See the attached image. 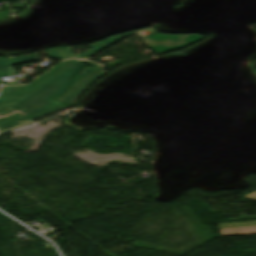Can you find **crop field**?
Segmentation results:
<instances>
[{
	"label": "crop field",
	"instance_id": "1",
	"mask_svg": "<svg viewBox=\"0 0 256 256\" xmlns=\"http://www.w3.org/2000/svg\"><path fill=\"white\" fill-rule=\"evenodd\" d=\"M83 66L81 62L66 60L55 65L29 85L1 87L0 108L20 110L29 114L61 104L53 100L66 90L72 77Z\"/></svg>",
	"mask_w": 256,
	"mask_h": 256
},
{
	"label": "crop field",
	"instance_id": "2",
	"mask_svg": "<svg viewBox=\"0 0 256 256\" xmlns=\"http://www.w3.org/2000/svg\"><path fill=\"white\" fill-rule=\"evenodd\" d=\"M77 61H80V60H77ZM83 61L88 63H93L94 67L91 70H89L90 68L85 67L75 77L72 84L68 88L67 92L57 100H60L62 102L75 106L77 100L84 93V91L87 89L89 84L106 72V71H103L104 66L100 65L99 63H96L90 60H83Z\"/></svg>",
	"mask_w": 256,
	"mask_h": 256
},
{
	"label": "crop field",
	"instance_id": "3",
	"mask_svg": "<svg viewBox=\"0 0 256 256\" xmlns=\"http://www.w3.org/2000/svg\"><path fill=\"white\" fill-rule=\"evenodd\" d=\"M140 40L150 47L158 55L165 53L170 50L178 49L187 46L190 43L202 39V36L199 35H163L156 34L144 38L143 36H138Z\"/></svg>",
	"mask_w": 256,
	"mask_h": 256
},
{
	"label": "crop field",
	"instance_id": "4",
	"mask_svg": "<svg viewBox=\"0 0 256 256\" xmlns=\"http://www.w3.org/2000/svg\"><path fill=\"white\" fill-rule=\"evenodd\" d=\"M218 225L222 236L256 234V221Z\"/></svg>",
	"mask_w": 256,
	"mask_h": 256
},
{
	"label": "crop field",
	"instance_id": "5",
	"mask_svg": "<svg viewBox=\"0 0 256 256\" xmlns=\"http://www.w3.org/2000/svg\"><path fill=\"white\" fill-rule=\"evenodd\" d=\"M67 108H70V106L63 105V106L53 108V109H50V110H47V111H44L41 113H37V114L31 115V116H27V117L14 116V117L2 119V120H0V129L6 128V127H9L12 125H16V124H19L22 122H26V121H29V120H32V119H35L38 117H42V116H45V115H48V114H51V113H54V112H57L60 110L67 109Z\"/></svg>",
	"mask_w": 256,
	"mask_h": 256
},
{
	"label": "crop field",
	"instance_id": "6",
	"mask_svg": "<svg viewBox=\"0 0 256 256\" xmlns=\"http://www.w3.org/2000/svg\"><path fill=\"white\" fill-rule=\"evenodd\" d=\"M136 33H138V32L134 31V32L126 33V34H121V35L110 37L102 42L91 44L90 46H88L89 48H91L90 50L78 55L76 58H89L92 55H94L96 52H98L99 50L115 43L119 39L127 37L131 34H136Z\"/></svg>",
	"mask_w": 256,
	"mask_h": 256
},
{
	"label": "crop field",
	"instance_id": "7",
	"mask_svg": "<svg viewBox=\"0 0 256 256\" xmlns=\"http://www.w3.org/2000/svg\"><path fill=\"white\" fill-rule=\"evenodd\" d=\"M46 53L50 58L58 59V60L73 57L71 47L70 48H55V49L47 50Z\"/></svg>",
	"mask_w": 256,
	"mask_h": 256
},
{
	"label": "crop field",
	"instance_id": "8",
	"mask_svg": "<svg viewBox=\"0 0 256 256\" xmlns=\"http://www.w3.org/2000/svg\"><path fill=\"white\" fill-rule=\"evenodd\" d=\"M12 72L14 71L11 64V60L0 58V83L2 76L11 75Z\"/></svg>",
	"mask_w": 256,
	"mask_h": 256
},
{
	"label": "crop field",
	"instance_id": "9",
	"mask_svg": "<svg viewBox=\"0 0 256 256\" xmlns=\"http://www.w3.org/2000/svg\"><path fill=\"white\" fill-rule=\"evenodd\" d=\"M11 60H12V64L15 65V64L27 63V62H32V61H38L39 58H38L37 54H35V55H30V56L13 58Z\"/></svg>",
	"mask_w": 256,
	"mask_h": 256
},
{
	"label": "crop field",
	"instance_id": "10",
	"mask_svg": "<svg viewBox=\"0 0 256 256\" xmlns=\"http://www.w3.org/2000/svg\"><path fill=\"white\" fill-rule=\"evenodd\" d=\"M30 124H33V122L29 121V122L22 123V124H19V125H16V126H12V127L6 128V129H2V130H0V133L6 132V131H9V130H13V129H16V128H19V127H23V126H26V125H30Z\"/></svg>",
	"mask_w": 256,
	"mask_h": 256
}]
</instances>
